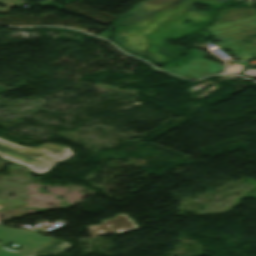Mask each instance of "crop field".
<instances>
[{
    "instance_id": "1",
    "label": "crop field",
    "mask_w": 256,
    "mask_h": 256,
    "mask_svg": "<svg viewBox=\"0 0 256 256\" xmlns=\"http://www.w3.org/2000/svg\"><path fill=\"white\" fill-rule=\"evenodd\" d=\"M72 155L64 146L45 144L39 148H28L0 139V157L23 164L37 174L46 173L56 162Z\"/></svg>"
},
{
    "instance_id": "2",
    "label": "crop field",
    "mask_w": 256,
    "mask_h": 256,
    "mask_svg": "<svg viewBox=\"0 0 256 256\" xmlns=\"http://www.w3.org/2000/svg\"><path fill=\"white\" fill-rule=\"evenodd\" d=\"M54 238L42 236L40 233L25 229H15L0 225V245L14 242L12 246H22L19 251H11L0 246V256H25Z\"/></svg>"
},
{
    "instance_id": "3",
    "label": "crop field",
    "mask_w": 256,
    "mask_h": 256,
    "mask_svg": "<svg viewBox=\"0 0 256 256\" xmlns=\"http://www.w3.org/2000/svg\"><path fill=\"white\" fill-rule=\"evenodd\" d=\"M91 232L93 237L100 234L116 233L137 226L131 221L126 214H119L112 220L102 221V224L97 226H85Z\"/></svg>"
},
{
    "instance_id": "4",
    "label": "crop field",
    "mask_w": 256,
    "mask_h": 256,
    "mask_svg": "<svg viewBox=\"0 0 256 256\" xmlns=\"http://www.w3.org/2000/svg\"><path fill=\"white\" fill-rule=\"evenodd\" d=\"M222 13H223V15H221ZM252 14H256V11H254L252 9L247 10L244 8L232 7V8L222 11L219 14V17L215 24L223 23L226 21L234 20V19L245 17V16L252 15Z\"/></svg>"
},
{
    "instance_id": "5",
    "label": "crop field",
    "mask_w": 256,
    "mask_h": 256,
    "mask_svg": "<svg viewBox=\"0 0 256 256\" xmlns=\"http://www.w3.org/2000/svg\"><path fill=\"white\" fill-rule=\"evenodd\" d=\"M68 247H70L69 243L54 239L27 256L45 255L47 253L57 254Z\"/></svg>"
},
{
    "instance_id": "6",
    "label": "crop field",
    "mask_w": 256,
    "mask_h": 256,
    "mask_svg": "<svg viewBox=\"0 0 256 256\" xmlns=\"http://www.w3.org/2000/svg\"><path fill=\"white\" fill-rule=\"evenodd\" d=\"M242 75L256 76V70H246Z\"/></svg>"
}]
</instances>
